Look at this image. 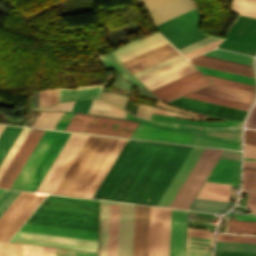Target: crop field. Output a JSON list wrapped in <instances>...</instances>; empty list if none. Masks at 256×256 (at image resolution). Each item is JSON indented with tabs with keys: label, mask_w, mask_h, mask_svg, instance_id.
<instances>
[{
	"label": "crop field",
	"mask_w": 256,
	"mask_h": 256,
	"mask_svg": "<svg viewBox=\"0 0 256 256\" xmlns=\"http://www.w3.org/2000/svg\"><path fill=\"white\" fill-rule=\"evenodd\" d=\"M190 149L139 141L104 199L156 205Z\"/></svg>",
	"instance_id": "obj_1"
},
{
	"label": "crop field",
	"mask_w": 256,
	"mask_h": 256,
	"mask_svg": "<svg viewBox=\"0 0 256 256\" xmlns=\"http://www.w3.org/2000/svg\"><path fill=\"white\" fill-rule=\"evenodd\" d=\"M117 141L88 135L53 193L83 197Z\"/></svg>",
	"instance_id": "obj_2"
},
{
	"label": "crop field",
	"mask_w": 256,
	"mask_h": 256,
	"mask_svg": "<svg viewBox=\"0 0 256 256\" xmlns=\"http://www.w3.org/2000/svg\"><path fill=\"white\" fill-rule=\"evenodd\" d=\"M99 201L48 195L26 222L97 230Z\"/></svg>",
	"instance_id": "obj_3"
},
{
	"label": "crop field",
	"mask_w": 256,
	"mask_h": 256,
	"mask_svg": "<svg viewBox=\"0 0 256 256\" xmlns=\"http://www.w3.org/2000/svg\"><path fill=\"white\" fill-rule=\"evenodd\" d=\"M70 133H43L10 188L35 191Z\"/></svg>",
	"instance_id": "obj_4"
},
{
	"label": "crop field",
	"mask_w": 256,
	"mask_h": 256,
	"mask_svg": "<svg viewBox=\"0 0 256 256\" xmlns=\"http://www.w3.org/2000/svg\"><path fill=\"white\" fill-rule=\"evenodd\" d=\"M200 13L194 9L156 26V29L177 49L208 35L199 31Z\"/></svg>",
	"instance_id": "obj_5"
},
{
	"label": "crop field",
	"mask_w": 256,
	"mask_h": 256,
	"mask_svg": "<svg viewBox=\"0 0 256 256\" xmlns=\"http://www.w3.org/2000/svg\"><path fill=\"white\" fill-rule=\"evenodd\" d=\"M221 152L219 149L205 148L170 207L188 208Z\"/></svg>",
	"instance_id": "obj_6"
},
{
	"label": "crop field",
	"mask_w": 256,
	"mask_h": 256,
	"mask_svg": "<svg viewBox=\"0 0 256 256\" xmlns=\"http://www.w3.org/2000/svg\"><path fill=\"white\" fill-rule=\"evenodd\" d=\"M45 196L21 192L0 217V240L8 241Z\"/></svg>",
	"instance_id": "obj_7"
},
{
	"label": "crop field",
	"mask_w": 256,
	"mask_h": 256,
	"mask_svg": "<svg viewBox=\"0 0 256 256\" xmlns=\"http://www.w3.org/2000/svg\"><path fill=\"white\" fill-rule=\"evenodd\" d=\"M85 137L83 134L71 133L36 191L52 193Z\"/></svg>",
	"instance_id": "obj_8"
},
{
	"label": "crop field",
	"mask_w": 256,
	"mask_h": 256,
	"mask_svg": "<svg viewBox=\"0 0 256 256\" xmlns=\"http://www.w3.org/2000/svg\"><path fill=\"white\" fill-rule=\"evenodd\" d=\"M108 204L119 205V203H115V202L101 201L98 256L107 255ZM114 205H109L108 255L107 256H116V249H117L119 206H114Z\"/></svg>",
	"instance_id": "obj_9"
},
{
	"label": "crop field",
	"mask_w": 256,
	"mask_h": 256,
	"mask_svg": "<svg viewBox=\"0 0 256 256\" xmlns=\"http://www.w3.org/2000/svg\"><path fill=\"white\" fill-rule=\"evenodd\" d=\"M154 25H158L194 7L193 0H139Z\"/></svg>",
	"instance_id": "obj_10"
},
{
	"label": "crop field",
	"mask_w": 256,
	"mask_h": 256,
	"mask_svg": "<svg viewBox=\"0 0 256 256\" xmlns=\"http://www.w3.org/2000/svg\"><path fill=\"white\" fill-rule=\"evenodd\" d=\"M209 83L211 82L203 74L197 71L183 78L153 89L151 92L156 97L164 101H169Z\"/></svg>",
	"instance_id": "obj_11"
},
{
	"label": "crop field",
	"mask_w": 256,
	"mask_h": 256,
	"mask_svg": "<svg viewBox=\"0 0 256 256\" xmlns=\"http://www.w3.org/2000/svg\"><path fill=\"white\" fill-rule=\"evenodd\" d=\"M16 237H25V238L59 241V242H69V243H78V244H88V245H93V251H96V243H97V241H93V240L57 237V236L22 233V232H17L10 241L14 242ZM15 242L92 251V246H88V245L49 242V241L21 239V238H16Z\"/></svg>",
	"instance_id": "obj_12"
},
{
	"label": "crop field",
	"mask_w": 256,
	"mask_h": 256,
	"mask_svg": "<svg viewBox=\"0 0 256 256\" xmlns=\"http://www.w3.org/2000/svg\"><path fill=\"white\" fill-rule=\"evenodd\" d=\"M168 103L190 111L219 116L228 119L242 120L246 113L244 111L192 100L184 97H180Z\"/></svg>",
	"instance_id": "obj_13"
},
{
	"label": "crop field",
	"mask_w": 256,
	"mask_h": 256,
	"mask_svg": "<svg viewBox=\"0 0 256 256\" xmlns=\"http://www.w3.org/2000/svg\"><path fill=\"white\" fill-rule=\"evenodd\" d=\"M203 150L204 148L192 147L157 205L169 207L170 203L174 199L175 195L182 186L183 182L185 181L186 177L190 173Z\"/></svg>",
	"instance_id": "obj_14"
},
{
	"label": "crop field",
	"mask_w": 256,
	"mask_h": 256,
	"mask_svg": "<svg viewBox=\"0 0 256 256\" xmlns=\"http://www.w3.org/2000/svg\"><path fill=\"white\" fill-rule=\"evenodd\" d=\"M43 132L44 130L31 129L5 174L1 178L0 187L9 188Z\"/></svg>",
	"instance_id": "obj_15"
},
{
	"label": "crop field",
	"mask_w": 256,
	"mask_h": 256,
	"mask_svg": "<svg viewBox=\"0 0 256 256\" xmlns=\"http://www.w3.org/2000/svg\"><path fill=\"white\" fill-rule=\"evenodd\" d=\"M150 207L135 205L132 256H147Z\"/></svg>",
	"instance_id": "obj_16"
},
{
	"label": "crop field",
	"mask_w": 256,
	"mask_h": 256,
	"mask_svg": "<svg viewBox=\"0 0 256 256\" xmlns=\"http://www.w3.org/2000/svg\"><path fill=\"white\" fill-rule=\"evenodd\" d=\"M177 54H179V52L174 49L169 43H167L163 46L155 48L127 61H124L122 62V64L132 74H134L140 70L150 67Z\"/></svg>",
	"instance_id": "obj_17"
},
{
	"label": "crop field",
	"mask_w": 256,
	"mask_h": 256,
	"mask_svg": "<svg viewBox=\"0 0 256 256\" xmlns=\"http://www.w3.org/2000/svg\"><path fill=\"white\" fill-rule=\"evenodd\" d=\"M134 205L120 203L117 256H131Z\"/></svg>",
	"instance_id": "obj_18"
},
{
	"label": "crop field",
	"mask_w": 256,
	"mask_h": 256,
	"mask_svg": "<svg viewBox=\"0 0 256 256\" xmlns=\"http://www.w3.org/2000/svg\"><path fill=\"white\" fill-rule=\"evenodd\" d=\"M132 137L187 144H192V142L196 138L195 135L151 126L143 123H140Z\"/></svg>",
	"instance_id": "obj_19"
},
{
	"label": "crop field",
	"mask_w": 256,
	"mask_h": 256,
	"mask_svg": "<svg viewBox=\"0 0 256 256\" xmlns=\"http://www.w3.org/2000/svg\"><path fill=\"white\" fill-rule=\"evenodd\" d=\"M156 105L165 107V108H169V109H173V110H177V111H181V112H185V113L192 114V115L205 116V115H201V114H196V113H192V112H188V111L179 110L172 106H169V105H166V104H163L160 102H157ZM166 115L178 116V117H188V118H195V119H205L206 118V117L200 118V117H195V116H190V115L174 113V112H170V111H166V110H162V109L154 107L149 119L174 121V122H181V123H188V124H195V125H202V126H227V125L241 126L242 122H243V121H195V120H189V119H183V118H177V117H170V116H166Z\"/></svg>",
	"instance_id": "obj_20"
},
{
	"label": "crop field",
	"mask_w": 256,
	"mask_h": 256,
	"mask_svg": "<svg viewBox=\"0 0 256 256\" xmlns=\"http://www.w3.org/2000/svg\"><path fill=\"white\" fill-rule=\"evenodd\" d=\"M137 125L136 122L96 116L87 132L130 137Z\"/></svg>",
	"instance_id": "obj_21"
},
{
	"label": "crop field",
	"mask_w": 256,
	"mask_h": 256,
	"mask_svg": "<svg viewBox=\"0 0 256 256\" xmlns=\"http://www.w3.org/2000/svg\"><path fill=\"white\" fill-rule=\"evenodd\" d=\"M195 71H197V69L194 68L187 60H185L181 63L142 78L140 81L149 90H151Z\"/></svg>",
	"instance_id": "obj_22"
},
{
	"label": "crop field",
	"mask_w": 256,
	"mask_h": 256,
	"mask_svg": "<svg viewBox=\"0 0 256 256\" xmlns=\"http://www.w3.org/2000/svg\"><path fill=\"white\" fill-rule=\"evenodd\" d=\"M19 231L97 240V231L24 223Z\"/></svg>",
	"instance_id": "obj_23"
},
{
	"label": "crop field",
	"mask_w": 256,
	"mask_h": 256,
	"mask_svg": "<svg viewBox=\"0 0 256 256\" xmlns=\"http://www.w3.org/2000/svg\"><path fill=\"white\" fill-rule=\"evenodd\" d=\"M167 43V41L162 38L158 33L150 35L138 41H134L114 52L112 54L120 61H124L138 54L146 52L150 49L158 47L162 44Z\"/></svg>",
	"instance_id": "obj_24"
},
{
	"label": "crop field",
	"mask_w": 256,
	"mask_h": 256,
	"mask_svg": "<svg viewBox=\"0 0 256 256\" xmlns=\"http://www.w3.org/2000/svg\"><path fill=\"white\" fill-rule=\"evenodd\" d=\"M186 211L172 209L170 256H184Z\"/></svg>",
	"instance_id": "obj_25"
},
{
	"label": "crop field",
	"mask_w": 256,
	"mask_h": 256,
	"mask_svg": "<svg viewBox=\"0 0 256 256\" xmlns=\"http://www.w3.org/2000/svg\"><path fill=\"white\" fill-rule=\"evenodd\" d=\"M137 143L138 141L127 140L126 144L124 145L123 149L119 153L112 167L108 171L101 185L99 186L96 193L94 194L93 198L103 199L106 192L110 188L111 184L115 180L116 176L120 172L121 168L125 164L126 160L130 156L131 152L133 151Z\"/></svg>",
	"instance_id": "obj_26"
},
{
	"label": "crop field",
	"mask_w": 256,
	"mask_h": 256,
	"mask_svg": "<svg viewBox=\"0 0 256 256\" xmlns=\"http://www.w3.org/2000/svg\"><path fill=\"white\" fill-rule=\"evenodd\" d=\"M239 165L240 160L220 157L207 181L238 185Z\"/></svg>",
	"instance_id": "obj_27"
},
{
	"label": "crop field",
	"mask_w": 256,
	"mask_h": 256,
	"mask_svg": "<svg viewBox=\"0 0 256 256\" xmlns=\"http://www.w3.org/2000/svg\"><path fill=\"white\" fill-rule=\"evenodd\" d=\"M163 208L151 207L148 256H161Z\"/></svg>",
	"instance_id": "obj_28"
},
{
	"label": "crop field",
	"mask_w": 256,
	"mask_h": 256,
	"mask_svg": "<svg viewBox=\"0 0 256 256\" xmlns=\"http://www.w3.org/2000/svg\"><path fill=\"white\" fill-rule=\"evenodd\" d=\"M195 92L208 94V95H212V96H217V97L230 99V100H234V101H239V102H243V103H247V104L250 103L252 96H253L252 92L229 88V87L220 86V85H216V84H212L210 86L196 90Z\"/></svg>",
	"instance_id": "obj_29"
},
{
	"label": "crop field",
	"mask_w": 256,
	"mask_h": 256,
	"mask_svg": "<svg viewBox=\"0 0 256 256\" xmlns=\"http://www.w3.org/2000/svg\"><path fill=\"white\" fill-rule=\"evenodd\" d=\"M192 63L204 65L212 68L235 72L243 75L253 76L252 68L249 66L224 61L204 55H200L190 60Z\"/></svg>",
	"instance_id": "obj_30"
},
{
	"label": "crop field",
	"mask_w": 256,
	"mask_h": 256,
	"mask_svg": "<svg viewBox=\"0 0 256 256\" xmlns=\"http://www.w3.org/2000/svg\"><path fill=\"white\" fill-rule=\"evenodd\" d=\"M103 85L80 86L75 89L59 88V101L80 99V98H98Z\"/></svg>",
	"instance_id": "obj_31"
},
{
	"label": "crop field",
	"mask_w": 256,
	"mask_h": 256,
	"mask_svg": "<svg viewBox=\"0 0 256 256\" xmlns=\"http://www.w3.org/2000/svg\"><path fill=\"white\" fill-rule=\"evenodd\" d=\"M125 142H126V140L119 139V141L117 142L116 146L112 150L111 154L107 158L106 162L102 166L101 170L97 174L96 178L92 182L91 186L87 190V192L84 195V197L92 198L93 194L95 193L96 189L100 185L101 181L103 180L104 176L106 175L107 171L111 167L112 163L114 162L115 158L117 157L118 153L122 149V147L125 144Z\"/></svg>",
	"instance_id": "obj_32"
},
{
	"label": "crop field",
	"mask_w": 256,
	"mask_h": 256,
	"mask_svg": "<svg viewBox=\"0 0 256 256\" xmlns=\"http://www.w3.org/2000/svg\"><path fill=\"white\" fill-rule=\"evenodd\" d=\"M231 185L205 182L197 197L228 201Z\"/></svg>",
	"instance_id": "obj_33"
},
{
	"label": "crop field",
	"mask_w": 256,
	"mask_h": 256,
	"mask_svg": "<svg viewBox=\"0 0 256 256\" xmlns=\"http://www.w3.org/2000/svg\"><path fill=\"white\" fill-rule=\"evenodd\" d=\"M232 202L195 198L189 209L224 213L233 206Z\"/></svg>",
	"instance_id": "obj_34"
},
{
	"label": "crop field",
	"mask_w": 256,
	"mask_h": 256,
	"mask_svg": "<svg viewBox=\"0 0 256 256\" xmlns=\"http://www.w3.org/2000/svg\"><path fill=\"white\" fill-rule=\"evenodd\" d=\"M22 128L5 126L0 135V163L14 143Z\"/></svg>",
	"instance_id": "obj_35"
},
{
	"label": "crop field",
	"mask_w": 256,
	"mask_h": 256,
	"mask_svg": "<svg viewBox=\"0 0 256 256\" xmlns=\"http://www.w3.org/2000/svg\"><path fill=\"white\" fill-rule=\"evenodd\" d=\"M184 97L197 99V100H201V101H205V102H210V103H214V104H218V105H223V106H227V107H231V108H236V109H240V110H244V111H246L249 106L247 104L234 102V101H230V100H225V99L212 97V96H208V95H203V94H199V93H195V92H191V93L185 95Z\"/></svg>",
	"instance_id": "obj_36"
},
{
	"label": "crop field",
	"mask_w": 256,
	"mask_h": 256,
	"mask_svg": "<svg viewBox=\"0 0 256 256\" xmlns=\"http://www.w3.org/2000/svg\"><path fill=\"white\" fill-rule=\"evenodd\" d=\"M88 112L116 116V117H125L126 112L119 109L118 107L104 101L93 100Z\"/></svg>",
	"instance_id": "obj_37"
},
{
	"label": "crop field",
	"mask_w": 256,
	"mask_h": 256,
	"mask_svg": "<svg viewBox=\"0 0 256 256\" xmlns=\"http://www.w3.org/2000/svg\"><path fill=\"white\" fill-rule=\"evenodd\" d=\"M195 66L197 68H199L203 73H206V74H210V75L223 77V78H227V79H231V80L240 81V82H244V83L254 85V78H252V77L243 76V75L230 73V72H226V71H221V70H217V69H212V68L199 66V65H195Z\"/></svg>",
	"instance_id": "obj_38"
},
{
	"label": "crop field",
	"mask_w": 256,
	"mask_h": 256,
	"mask_svg": "<svg viewBox=\"0 0 256 256\" xmlns=\"http://www.w3.org/2000/svg\"><path fill=\"white\" fill-rule=\"evenodd\" d=\"M204 55L251 66L252 57H248V56H244V55H240V54H236V53H232V52H228L220 49L212 50L210 52L205 53Z\"/></svg>",
	"instance_id": "obj_39"
},
{
	"label": "crop field",
	"mask_w": 256,
	"mask_h": 256,
	"mask_svg": "<svg viewBox=\"0 0 256 256\" xmlns=\"http://www.w3.org/2000/svg\"><path fill=\"white\" fill-rule=\"evenodd\" d=\"M215 250L256 253V244L216 241Z\"/></svg>",
	"instance_id": "obj_40"
},
{
	"label": "crop field",
	"mask_w": 256,
	"mask_h": 256,
	"mask_svg": "<svg viewBox=\"0 0 256 256\" xmlns=\"http://www.w3.org/2000/svg\"><path fill=\"white\" fill-rule=\"evenodd\" d=\"M95 116L75 113L66 130L86 132Z\"/></svg>",
	"instance_id": "obj_41"
},
{
	"label": "crop field",
	"mask_w": 256,
	"mask_h": 256,
	"mask_svg": "<svg viewBox=\"0 0 256 256\" xmlns=\"http://www.w3.org/2000/svg\"><path fill=\"white\" fill-rule=\"evenodd\" d=\"M30 129L28 128H23L21 131L20 135L16 139L15 143L11 147L10 151L6 155L5 159L0 165V178L4 174L5 170L7 169L8 165L10 164L11 160L15 156L16 152L18 151L19 147L21 146L22 142L26 138L27 134L29 133Z\"/></svg>",
	"instance_id": "obj_42"
},
{
	"label": "crop field",
	"mask_w": 256,
	"mask_h": 256,
	"mask_svg": "<svg viewBox=\"0 0 256 256\" xmlns=\"http://www.w3.org/2000/svg\"><path fill=\"white\" fill-rule=\"evenodd\" d=\"M19 256H55V248L20 244Z\"/></svg>",
	"instance_id": "obj_43"
},
{
	"label": "crop field",
	"mask_w": 256,
	"mask_h": 256,
	"mask_svg": "<svg viewBox=\"0 0 256 256\" xmlns=\"http://www.w3.org/2000/svg\"><path fill=\"white\" fill-rule=\"evenodd\" d=\"M62 112L41 111L33 126L53 129Z\"/></svg>",
	"instance_id": "obj_44"
},
{
	"label": "crop field",
	"mask_w": 256,
	"mask_h": 256,
	"mask_svg": "<svg viewBox=\"0 0 256 256\" xmlns=\"http://www.w3.org/2000/svg\"><path fill=\"white\" fill-rule=\"evenodd\" d=\"M171 209L164 208L162 256H169Z\"/></svg>",
	"instance_id": "obj_45"
},
{
	"label": "crop field",
	"mask_w": 256,
	"mask_h": 256,
	"mask_svg": "<svg viewBox=\"0 0 256 256\" xmlns=\"http://www.w3.org/2000/svg\"><path fill=\"white\" fill-rule=\"evenodd\" d=\"M106 63L111 67L116 69L121 76L126 78L128 81H130L132 84H134L137 87L143 86L134 76H132L124 67H122L115 59L114 57L109 54L107 56H101Z\"/></svg>",
	"instance_id": "obj_46"
},
{
	"label": "crop field",
	"mask_w": 256,
	"mask_h": 256,
	"mask_svg": "<svg viewBox=\"0 0 256 256\" xmlns=\"http://www.w3.org/2000/svg\"><path fill=\"white\" fill-rule=\"evenodd\" d=\"M183 60H185V58L181 54H179V55H177V56H175L173 58H170V59H168L166 61H163V62H161V63H159L157 65H154V66H152L150 68H147V69H145V70H143L141 72H138V73L134 74V76H136L138 79H140V78H142L144 76L152 74V73H154L156 71L164 69V68H166L168 66L176 64V63H178L180 61H183Z\"/></svg>",
	"instance_id": "obj_47"
},
{
	"label": "crop field",
	"mask_w": 256,
	"mask_h": 256,
	"mask_svg": "<svg viewBox=\"0 0 256 256\" xmlns=\"http://www.w3.org/2000/svg\"><path fill=\"white\" fill-rule=\"evenodd\" d=\"M241 127L205 128L206 133L240 141Z\"/></svg>",
	"instance_id": "obj_48"
},
{
	"label": "crop field",
	"mask_w": 256,
	"mask_h": 256,
	"mask_svg": "<svg viewBox=\"0 0 256 256\" xmlns=\"http://www.w3.org/2000/svg\"><path fill=\"white\" fill-rule=\"evenodd\" d=\"M194 144L240 150V145L238 144L210 139V138L201 137V136H198Z\"/></svg>",
	"instance_id": "obj_49"
},
{
	"label": "crop field",
	"mask_w": 256,
	"mask_h": 256,
	"mask_svg": "<svg viewBox=\"0 0 256 256\" xmlns=\"http://www.w3.org/2000/svg\"><path fill=\"white\" fill-rule=\"evenodd\" d=\"M228 231L256 233V222L228 220Z\"/></svg>",
	"instance_id": "obj_50"
},
{
	"label": "crop field",
	"mask_w": 256,
	"mask_h": 256,
	"mask_svg": "<svg viewBox=\"0 0 256 256\" xmlns=\"http://www.w3.org/2000/svg\"><path fill=\"white\" fill-rule=\"evenodd\" d=\"M213 238L187 235L186 247L206 249L212 245Z\"/></svg>",
	"instance_id": "obj_51"
},
{
	"label": "crop field",
	"mask_w": 256,
	"mask_h": 256,
	"mask_svg": "<svg viewBox=\"0 0 256 256\" xmlns=\"http://www.w3.org/2000/svg\"><path fill=\"white\" fill-rule=\"evenodd\" d=\"M206 76L213 83L254 92V86H252V85H248V84H244V83H240V82H235V81H231V80H227V79H223V78H218V77H214V76H210V75H206Z\"/></svg>",
	"instance_id": "obj_52"
},
{
	"label": "crop field",
	"mask_w": 256,
	"mask_h": 256,
	"mask_svg": "<svg viewBox=\"0 0 256 256\" xmlns=\"http://www.w3.org/2000/svg\"><path fill=\"white\" fill-rule=\"evenodd\" d=\"M19 244L0 242V256H18Z\"/></svg>",
	"instance_id": "obj_53"
},
{
	"label": "crop field",
	"mask_w": 256,
	"mask_h": 256,
	"mask_svg": "<svg viewBox=\"0 0 256 256\" xmlns=\"http://www.w3.org/2000/svg\"><path fill=\"white\" fill-rule=\"evenodd\" d=\"M216 240L256 243V237H254V236H238V235L218 234Z\"/></svg>",
	"instance_id": "obj_54"
},
{
	"label": "crop field",
	"mask_w": 256,
	"mask_h": 256,
	"mask_svg": "<svg viewBox=\"0 0 256 256\" xmlns=\"http://www.w3.org/2000/svg\"><path fill=\"white\" fill-rule=\"evenodd\" d=\"M19 193L20 192L18 191L11 190H7L5 192V194L0 198V215L6 210Z\"/></svg>",
	"instance_id": "obj_55"
},
{
	"label": "crop field",
	"mask_w": 256,
	"mask_h": 256,
	"mask_svg": "<svg viewBox=\"0 0 256 256\" xmlns=\"http://www.w3.org/2000/svg\"><path fill=\"white\" fill-rule=\"evenodd\" d=\"M56 256H96V253L56 248Z\"/></svg>",
	"instance_id": "obj_56"
},
{
	"label": "crop field",
	"mask_w": 256,
	"mask_h": 256,
	"mask_svg": "<svg viewBox=\"0 0 256 256\" xmlns=\"http://www.w3.org/2000/svg\"><path fill=\"white\" fill-rule=\"evenodd\" d=\"M126 98L127 97L125 96L114 95V94H109L104 92L101 93V97H100V99L112 102L120 107H123Z\"/></svg>",
	"instance_id": "obj_57"
},
{
	"label": "crop field",
	"mask_w": 256,
	"mask_h": 256,
	"mask_svg": "<svg viewBox=\"0 0 256 256\" xmlns=\"http://www.w3.org/2000/svg\"><path fill=\"white\" fill-rule=\"evenodd\" d=\"M216 39H218V38L208 36V37H206V38H204L202 40H199V41H197L195 43H192V44H190V45H188L186 47H183V48L179 49V51L182 54H184V53H186L188 51H191V50H193V49H195L197 47H200V46H202L204 44H207V43H209V42H211L213 40H216Z\"/></svg>",
	"instance_id": "obj_58"
},
{
	"label": "crop field",
	"mask_w": 256,
	"mask_h": 256,
	"mask_svg": "<svg viewBox=\"0 0 256 256\" xmlns=\"http://www.w3.org/2000/svg\"><path fill=\"white\" fill-rule=\"evenodd\" d=\"M221 41H222V39H219V40H217V41H215V42H212V43H210V44H207V45H205V46H203V47H200V48H198V49H196V50H193V51H191V52H188V53L184 54V56H185L186 58H192V57H194V56H196V55H198V54H200V53H203V52H205V51H207V50H209V49H211V48H213V47L219 45V43H220Z\"/></svg>",
	"instance_id": "obj_59"
},
{
	"label": "crop field",
	"mask_w": 256,
	"mask_h": 256,
	"mask_svg": "<svg viewBox=\"0 0 256 256\" xmlns=\"http://www.w3.org/2000/svg\"><path fill=\"white\" fill-rule=\"evenodd\" d=\"M75 101H70V102H62V103H57L53 105L52 107H46V108H38L42 110H67L71 111L72 107L74 105Z\"/></svg>",
	"instance_id": "obj_60"
},
{
	"label": "crop field",
	"mask_w": 256,
	"mask_h": 256,
	"mask_svg": "<svg viewBox=\"0 0 256 256\" xmlns=\"http://www.w3.org/2000/svg\"><path fill=\"white\" fill-rule=\"evenodd\" d=\"M74 113H63L54 129L65 130Z\"/></svg>",
	"instance_id": "obj_61"
},
{
	"label": "crop field",
	"mask_w": 256,
	"mask_h": 256,
	"mask_svg": "<svg viewBox=\"0 0 256 256\" xmlns=\"http://www.w3.org/2000/svg\"><path fill=\"white\" fill-rule=\"evenodd\" d=\"M243 186L256 187V173L243 172Z\"/></svg>",
	"instance_id": "obj_62"
},
{
	"label": "crop field",
	"mask_w": 256,
	"mask_h": 256,
	"mask_svg": "<svg viewBox=\"0 0 256 256\" xmlns=\"http://www.w3.org/2000/svg\"><path fill=\"white\" fill-rule=\"evenodd\" d=\"M230 11H234L241 15L256 17V10H252V9H247V8H242V7L231 5Z\"/></svg>",
	"instance_id": "obj_63"
},
{
	"label": "crop field",
	"mask_w": 256,
	"mask_h": 256,
	"mask_svg": "<svg viewBox=\"0 0 256 256\" xmlns=\"http://www.w3.org/2000/svg\"><path fill=\"white\" fill-rule=\"evenodd\" d=\"M125 118L140 120V121H144V122H148V123H152V124H156V125H160V126H164V127H171V128H175V129H179V130H180L179 124L164 123V122H154V121H146V120H142V119H138V118L132 117V116H130V115H128V114H126V117H125Z\"/></svg>",
	"instance_id": "obj_64"
},
{
	"label": "crop field",
	"mask_w": 256,
	"mask_h": 256,
	"mask_svg": "<svg viewBox=\"0 0 256 256\" xmlns=\"http://www.w3.org/2000/svg\"><path fill=\"white\" fill-rule=\"evenodd\" d=\"M231 4L256 9V0H233Z\"/></svg>",
	"instance_id": "obj_65"
},
{
	"label": "crop field",
	"mask_w": 256,
	"mask_h": 256,
	"mask_svg": "<svg viewBox=\"0 0 256 256\" xmlns=\"http://www.w3.org/2000/svg\"><path fill=\"white\" fill-rule=\"evenodd\" d=\"M186 256H211V251L186 248Z\"/></svg>",
	"instance_id": "obj_66"
},
{
	"label": "crop field",
	"mask_w": 256,
	"mask_h": 256,
	"mask_svg": "<svg viewBox=\"0 0 256 256\" xmlns=\"http://www.w3.org/2000/svg\"><path fill=\"white\" fill-rule=\"evenodd\" d=\"M246 127L256 128V103L247 119Z\"/></svg>",
	"instance_id": "obj_67"
},
{
	"label": "crop field",
	"mask_w": 256,
	"mask_h": 256,
	"mask_svg": "<svg viewBox=\"0 0 256 256\" xmlns=\"http://www.w3.org/2000/svg\"><path fill=\"white\" fill-rule=\"evenodd\" d=\"M152 108H153V107H150V106H143V105H140V106H139V109H138V111H137L136 116L142 117V118H147V119H148Z\"/></svg>",
	"instance_id": "obj_68"
},
{
	"label": "crop field",
	"mask_w": 256,
	"mask_h": 256,
	"mask_svg": "<svg viewBox=\"0 0 256 256\" xmlns=\"http://www.w3.org/2000/svg\"><path fill=\"white\" fill-rule=\"evenodd\" d=\"M215 256H256V254L215 251Z\"/></svg>",
	"instance_id": "obj_69"
},
{
	"label": "crop field",
	"mask_w": 256,
	"mask_h": 256,
	"mask_svg": "<svg viewBox=\"0 0 256 256\" xmlns=\"http://www.w3.org/2000/svg\"><path fill=\"white\" fill-rule=\"evenodd\" d=\"M187 234L200 235V236H209V237L214 236V235L210 234V231L196 230V229H190V228H187Z\"/></svg>",
	"instance_id": "obj_70"
},
{
	"label": "crop field",
	"mask_w": 256,
	"mask_h": 256,
	"mask_svg": "<svg viewBox=\"0 0 256 256\" xmlns=\"http://www.w3.org/2000/svg\"><path fill=\"white\" fill-rule=\"evenodd\" d=\"M222 156L240 159V152L224 151Z\"/></svg>",
	"instance_id": "obj_71"
},
{
	"label": "crop field",
	"mask_w": 256,
	"mask_h": 256,
	"mask_svg": "<svg viewBox=\"0 0 256 256\" xmlns=\"http://www.w3.org/2000/svg\"><path fill=\"white\" fill-rule=\"evenodd\" d=\"M227 215L236 216V218H235V219L256 221V217H255V216L234 215V214H227Z\"/></svg>",
	"instance_id": "obj_72"
},
{
	"label": "crop field",
	"mask_w": 256,
	"mask_h": 256,
	"mask_svg": "<svg viewBox=\"0 0 256 256\" xmlns=\"http://www.w3.org/2000/svg\"><path fill=\"white\" fill-rule=\"evenodd\" d=\"M247 203L256 204V194L248 193Z\"/></svg>",
	"instance_id": "obj_73"
},
{
	"label": "crop field",
	"mask_w": 256,
	"mask_h": 256,
	"mask_svg": "<svg viewBox=\"0 0 256 256\" xmlns=\"http://www.w3.org/2000/svg\"><path fill=\"white\" fill-rule=\"evenodd\" d=\"M242 191L256 193V188L243 187Z\"/></svg>",
	"instance_id": "obj_74"
},
{
	"label": "crop field",
	"mask_w": 256,
	"mask_h": 256,
	"mask_svg": "<svg viewBox=\"0 0 256 256\" xmlns=\"http://www.w3.org/2000/svg\"><path fill=\"white\" fill-rule=\"evenodd\" d=\"M243 171H247V172H256V169H247V168H243Z\"/></svg>",
	"instance_id": "obj_75"
},
{
	"label": "crop field",
	"mask_w": 256,
	"mask_h": 256,
	"mask_svg": "<svg viewBox=\"0 0 256 256\" xmlns=\"http://www.w3.org/2000/svg\"><path fill=\"white\" fill-rule=\"evenodd\" d=\"M5 191L6 190H4V189H0V197L4 194Z\"/></svg>",
	"instance_id": "obj_76"
},
{
	"label": "crop field",
	"mask_w": 256,
	"mask_h": 256,
	"mask_svg": "<svg viewBox=\"0 0 256 256\" xmlns=\"http://www.w3.org/2000/svg\"><path fill=\"white\" fill-rule=\"evenodd\" d=\"M246 206L256 207V205L247 204Z\"/></svg>",
	"instance_id": "obj_77"
},
{
	"label": "crop field",
	"mask_w": 256,
	"mask_h": 256,
	"mask_svg": "<svg viewBox=\"0 0 256 256\" xmlns=\"http://www.w3.org/2000/svg\"><path fill=\"white\" fill-rule=\"evenodd\" d=\"M247 208H249V209H251V210H256V208H250V207H247ZM253 212L256 213V211H253Z\"/></svg>",
	"instance_id": "obj_78"
}]
</instances>
